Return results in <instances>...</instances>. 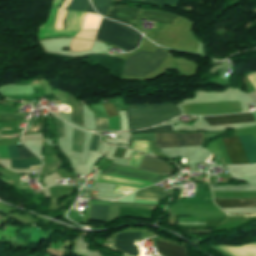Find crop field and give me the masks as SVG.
I'll return each instance as SVG.
<instances>
[{"label": "crop field", "mask_w": 256, "mask_h": 256, "mask_svg": "<svg viewBox=\"0 0 256 256\" xmlns=\"http://www.w3.org/2000/svg\"><path fill=\"white\" fill-rule=\"evenodd\" d=\"M70 111H71L73 122H75L76 124H78L81 127H83V117H82V114L78 113L76 110L72 109L71 107H70Z\"/></svg>", "instance_id": "obj_27"}, {"label": "crop field", "mask_w": 256, "mask_h": 256, "mask_svg": "<svg viewBox=\"0 0 256 256\" xmlns=\"http://www.w3.org/2000/svg\"><path fill=\"white\" fill-rule=\"evenodd\" d=\"M141 2L151 4V3H152V0H141Z\"/></svg>", "instance_id": "obj_38"}, {"label": "crop field", "mask_w": 256, "mask_h": 256, "mask_svg": "<svg viewBox=\"0 0 256 256\" xmlns=\"http://www.w3.org/2000/svg\"><path fill=\"white\" fill-rule=\"evenodd\" d=\"M204 118L207 120L209 126L255 121L252 113Z\"/></svg>", "instance_id": "obj_11"}, {"label": "crop field", "mask_w": 256, "mask_h": 256, "mask_svg": "<svg viewBox=\"0 0 256 256\" xmlns=\"http://www.w3.org/2000/svg\"><path fill=\"white\" fill-rule=\"evenodd\" d=\"M141 232L138 233H122L117 234L114 246L123 253L132 254L134 256L141 255L139 244H134L136 239H140Z\"/></svg>", "instance_id": "obj_9"}, {"label": "crop field", "mask_w": 256, "mask_h": 256, "mask_svg": "<svg viewBox=\"0 0 256 256\" xmlns=\"http://www.w3.org/2000/svg\"><path fill=\"white\" fill-rule=\"evenodd\" d=\"M7 120H16L15 115L0 116V122Z\"/></svg>", "instance_id": "obj_35"}, {"label": "crop field", "mask_w": 256, "mask_h": 256, "mask_svg": "<svg viewBox=\"0 0 256 256\" xmlns=\"http://www.w3.org/2000/svg\"><path fill=\"white\" fill-rule=\"evenodd\" d=\"M55 123H56L59 138L64 137L63 122L60 121L59 119L55 118Z\"/></svg>", "instance_id": "obj_31"}, {"label": "crop field", "mask_w": 256, "mask_h": 256, "mask_svg": "<svg viewBox=\"0 0 256 256\" xmlns=\"http://www.w3.org/2000/svg\"><path fill=\"white\" fill-rule=\"evenodd\" d=\"M108 209L109 207L92 206L90 219L96 221H106Z\"/></svg>", "instance_id": "obj_19"}, {"label": "crop field", "mask_w": 256, "mask_h": 256, "mask_svg": "<svg viewBox=\"0 0 256 256\" xmlns=\"http://www.w3.org/2000/svg\"><path fill=\"white\" fill-rule=\"evenodd\" d=\"M140 11L139 9L124 6H115L113 8L110 7L105 16L132 25L138 22Z\"/></svg>", "instance_id": "obj_10"}, {"label": "crop field", "mask_w": 256, "mask_h": 256, "mask_svg": "<svg viewBox=\"0 0 256 256\" xmlns=\"http://www.w3.org/2000/svg\"><path fill=\"white\" fill-rule=\"evenodd\" d=\"M155 141L158 143L154 145L159 148L201 146V133L155 134Z\"/></svg>", "instance_id": "obj_6"}, {"label": "crop field", "mask_w": 256, "mask_h": 256, "mask_svg": "<svg viewBox=\"0 0 256 256\" xmlns=\"http://www.w3.org/2000/svg\"><path fill=\"white\" fill-rule=\"evenodd\" d=\"M157 252L162 256H188L184 247L155 240Z\"/></svg>", "instance_id": "obj_12"}, {"label": "crop field", "mask_w": 256, "mask_h": 256, "mask_svg": "<svg viewBox=\"0 0 256 256\" xmlns=\"http://www.w3.org/2000/svg\"><path fill=\"white\" fill-rule=\"evenodd\" d=\"M125 1H131V2H137V3H139L140 0H125Z\"/></svg>", "instance_id": "obj_39"}, {"label": "crop field", "mask_w": 256, "mask_h": 256, "mask_svg": "<svg viewBox=\"0 0 256 256\" xmlns=\"http://www.w3.org/2000/svg\"><path fill=\"white\" fill-rule=\"evenodd\" d=\"M87 3V0H73L69 9L75 11H84V7Z\"/></svg>", "instance_id": "obj_25"}, {"label": "crop field", "mask_w": 256, "mask_h": 256, "mask_svg": "<svg viewBox=\"0 0 256 256\" xmlns=\"http://www.w3.org/2000/svg\"><path fill=\"white\" fill-rule=\"evenodd\" d=\"M86 12H91V13H96L94 10H93V8H92V6H91V4L88 2V5H87V7H86Z\"/></svg>", "instance_id": "obj_36"}, {"label": "crop field", "mask_w": 256, "mask_h": 256, "mask_svg": "<svg viewBox=\"0 0 256 256\" xmlns=\"http://www.w3.org/2000/svg\"><path fill=\"white\" fill-rule=\"evenodd\" d=\"M61 165L60 161H56L46 167H44L43 171H42V174L43 175H47L51 172H53L57 167H59Z\"/></svg>", "instance_id": "obj_30"}, {"label": "crop field", "mask_w": 256, "mask_h": 256, "mask_svg": "<svg viewBox=\"0 0 256 256\" xmlns=\"http://www.w3.org/2000/svg\"><path fill=\"white\" fill-rule=\"evenodd\" d=\"M8 150L10 153L11 158L22 159V158H29V157H35L32 153H30L23 145H17L18 148V156H17V148L16 145H7Z\"/></svg>", "instance_id": "obj_17"}, {"label": "crop field", "mask_w": 256, "mask_h": 256, "mask_svg": "<svg viewBox=\"0 0 256 256\" xmlns=\"http://www.w3.org/2000/svg\"><path fill=\"white\" fill-rule=\"evenodd\" d=\"M167 55L159 48L154 54L140 51L127 59L122 74L142 78L157 69Z\"/></svg>", "instance_id": "obj_3"}, {"label": "crop field", "mask_w": 256, "mask_h": 256, "mask_svg": "<svg viewBox=\"0 0 256 256\" xmlns=\"http://www.w3.org/2000/svg\"><path fill=\"white\" fill-rule=\"evenodd\" d=\"M84 132L74 129V138L71 151L82 152Z\"/></svg>", "instance_id": "obj_21"}, {"label": "crop field", "mask_w": 256, "mask_h": 256, "mask_svg": "<svg viewBox=\"0 0 256 256\" xmlns=\"http://www.w3.org/2000/svg\"><path fill=\"white\" fill-rule=\"evenodd\" d=\"M131 148L150 154L149 153V142H146V141H132Z\"/></svg>", "instance_id": "obj_24"}, {"label": "crop field", "mask_w": 256, "mask_h": 256, "mask_svg": "<svg viewBox=\"0 0 256 256\" xmlns=\"http://www.w3.org/2000/svg\"><path fill=\"white\" fill-rule=\"evenodd\" d=\"M214 203L220 208H240L255 207L256 198L254 199H213Z\"/></svg>", "instance_id": "obj_13"}, {"label": "crop field", "mask_w": 256, "mask_h": 256, "mask_svg": "<svg viewBox=\"0 0 256 256\" xmlns=\"http://www.w3.org/2000/svg\"><path fill=\"white\" fill-rule=\"evenodd\" d=\"M118 206H129L132 207V203H116L112 202L110 206V213L108 216V220L117 219L118 216Z\"/></svg>", "instance_id": "obj_23"}, {"label": "crop field", "mask_w": 256, "mask_h": 256, "mask_svg": "<svg viewBox=\"0 0 256 256\" xmlns=\"http://www.w3.org/2000/svg\"><path fill=\"white\" fill-rule=\"evenodd\" d=\"M179 1L180 0H154L152 4L162 7L164 6V4L177 6Z\"/></svg>", "instance_id": "obj_29"}, {"label": "crop field", "mask_w": 256, "mask_h": 256, "mask_svg": "<svg viewBox=\"0 0 256 256\" xmlns=\"http://www.w3.org/2000/svg\"><path fill=\"white\" fill-rule=\"evenodd\" d=\"M247 79L250 81V83L253 85V87L256 90V73L247 75Z\"/></svg>", "instance_id": "obj_34"}, {"label": "crop field", "mask_w": 256, "mask_h": 256, "mask_svg": "<svg viewBox=\"0 0 256 256\" xmlns=\"http://www.w3.org/2000/svg\"><path fill=\"white\" fill-rule=\"evenodd\" d=\"M96 38L122 49L131 50L139 45L141 35L125 25L103 18Z\"/></svg>", "instance_id": "obj_2"}, {"label": "crop field", "mask_w": 256, "mask_h": 256, "mask_svg": "<svg viewBox=\"0 0 256 256\" xmlns=\"http://www.w3.org/2000/svg\"><path fill=\"white\" fill-rule=\"evenodd\" d=\"M11 160H12V167L14 168L27 169L29 168V166L40 165L39 163L40 161L37 158L22 159V160L11 159ZM35 167H39V166H35ZM30 168H34V167H30Z\"/></svg>", "instance_id": "obj_20"}, {"label": "crop field", "mask_w": 256, "mask_h": 256, "mask_svg": "<svg viewBox=\"0 0 256 256\" xmlns=\"http://www.w3.org/2000/svg\"><path fill=\"white\" fill-rule=\"evenodd\" d=\"M101 105H102L107 117L117 116L116 109H115L113 103H104ZM95 124H96L97 129H107L108 130V119L107 118L96 117Z\"/></svg>", "instance_id": "obj_16"}, {"label": "crop field", "mask_w": 256, "mask_h": 256, "mask_svg": "<svg viewBox=\"0 0 256 256\" xmlns=\"http://www.w3.org/2000/svg\"><path fill=\"white\" fill-rule=\"evenodd\" d=\"M57 9H51L47 21L39 27L38 39L74 36L81 29L86 13L69 11L66 20V30H54V20Z\"/></svg>", "instance_id": "obj_5"}, {"label": "crop field", "mask_w": 256, "mask_h": 256, "mask_svg": "<svg viewBox=\"0 0 256 256\" xmlns=\"http://www.w3.org/2000/svg\"><path fill=\"white\" fill-rule=\"evenodd\" d=\"M103 174L114 175V176L146 181L151 183H154L157 180H159L161 177H163V175L148 173V172L128 168V167L113 164V163L110 165V167L107 170L103 172Z\"/></svg>", "instance_id": "obj_7"}, {"label": "crop field", "mask_w": 256, "mask_h": 256, "mask_svg": "<svg viewBox=\"0 0 256 256\" xmlns=\"http://www.w3.org/2000/svg\"><path fill=\"white\" fill-rule=\"evenodd\" d=\"M166 131H172L170 125L159 126V127H155L147 130L135 131L133 133H151V132H166Z\"/></svg>", "instance_id": "obj_26"}, {"label": "crop field", "mask_w": 256, "mask_h": 256, "mask_svg": "<svg viewBox=\"0 0 256 256\" xmlns=\"http://www.w3.org/2000/svg\"><path fill=\"white\" fill-rule=\"evenodd\" d=\"M143 18L147 20H155L160 23H172L176 24L179 17L170 14L158 13L154 11H146L142 15Z\"/></svg>", "instance_id": "obj_15"}, {"label": "crop field", "mask_w": 256, "mask_h": 256, "mask_svg": "<svg viewBox=\"0 0 256 256\" xmlns=\"http://www.w3.org/2000/svg\"><path fill=\"white\" fill-rule=\"evenodd\" d=\"M250 164L256 163V142L253 136L239 137ZM238 137L223 138L232 165L249 164Z\"/></svg>", "instance_id": "obj_4"}, {"label": "crop field", "mask_w": 256, "mask_h": 256, "mask_svg": "<svg viewBox=\"0 0 256 256\" xmlns=\"http://www.w3.org/2000/svg\"><path fill=\"white\" fill-rule=\"evenodd\" d=\"M111 0H93V6L99 14L105 15Z\"/></svg>", "instance_id": "obj_22"}, {"label": "crop field", "mask_w": 256, "mask_h": 256, "mask_svg": "<svg viewBox=\"0 0 256 256\" xmlns=\"http://www.w3.org/2000/svg\"><path fill=\"white\" fill-rule=\"evenodd\" d=\"M134 208L155 210L157 206L146 204H134Z\"/></svg>", "instance_id": "obj_33"}, {"label": "crop field", "mask_w": 256, "mask_h": 256, "mask_svg": "<svg viewBox=\"0 0 256 256\" xmlns=\"http://www.w3.org/2000/svg\"><path fill=\"white\" fill-rule=\"evenodd\" d=\"M170 192L160 191L152 188L142 189L136 192V196L141 197H155V198H164L169 195Z\"/></svg>", "instance_id": "obj_18"}, {"label": "crop field", "mask_w": 256, "mask_h": 256, "mask_svg": "<svg viewBox=\"0 0 256 256\" xmlns=\"http://www.w3.org/2000/svg\"><path fill=\"white\" fill-rule=\"evenodd\" d=\"M62 0H54L52 3V7L53 6H58L61 3Z\"/></svg>", "instance_id": "obj_37"}, {"label": "crop field", "mask_w": 256, "mask_h": 256, "mask_svg": "<svg viewBox=\"0 0 256 256\" xmlns=\"http://www.w3.org/2000/svg\"><path fill=\"white\" fill-rule=\"evenodd\" d=\"M137 190L136 188H129V187H123V186H119V185H115L114 189L112 192L115 193H120V194H129L133 191Z\"/></svg>", "instance_id": "obj_28"}, {"label": "crop field", "mask_w": 256, "mask_h": 256, "mask_svg": "<svg viewBox=\"0 0 256 256\" xmlns=\"http://www.w3.org/2000/svg\"><path fill=\"white\" fill-rule=\"evenodd\" d=\"M19 188H24V187H19Z\"/></svg>", "instance_id": "obj_40"}, {"label": "crop field", "mask_w": 256, "mask_h": 256, "mask_svg": "<svg viewBox=\"0 0 256 256\" xmlns=\"http://www.w3.org/2000/svg\"><path fill=\"white\" fill-rule=\"evenodd\" d=\"M129 129H141L179 115L178 109L172 104L157 106H126Z\"/></svg>", "instance_id": "obj_1"}, {"label": "crop field", "mask_w": 256, "mask_h": 256, "mask_svg": "<svg viewBox=\"0 0 256 256\" xmlns=\"http://www.w3.org/2000/svg\"><path fill=\"white\" fill-rule=\"evenodd\" d=\"M123 256H126V255H123Z\"/></svg>", "instance_id": "obj_41"}, {"label": "crop field", "mask_w": 256, "mask_h": 256, "mask_svg": "<svg viewBox=\"0 0 256 256\" xmlns=\"http://www.w3.org/2000/svg\"><path fill=\"white\" fill-rule=\"evenodd\" d=\"M232 256H256V243L243 246H216Z\"/></svg>", "instance_id": "obj_14"}, {"label": "crop field", "mask_w": 256, "mask_h": 256, "mask_svg": "<svg viewBox=\"0 0 256 256\" xmlns=\"http://www.w3.org/2000/svg\"><path fill=\"white\" fill-rule=\"evenodd\" d=\"M67 97H68L69 104L75 107L79 112H82L78 101L74 99L72 96H70L69 94H67Z\"/></svg>", "instance_id": "obj_32"}, {"label": "crop field", "mask_w": 256, "mask_h": 256, "mask_svg": "<svg viewBox=\"0 0 256 256\" xmlns=\"http://www.w3.org/2000/svg\"><path fill=\"white\" fill-rule=\"evenodd\" d=\"M146 156L147 155L134 152L133 156L131 157L128 163V166H132L140 169ZM141 169L153 171L157 173H166V172L172 171L170 165L167 162L151 157L149 155L147 156Z\"/></svg>", "instance_id": "obj_8"}]
</instances>
